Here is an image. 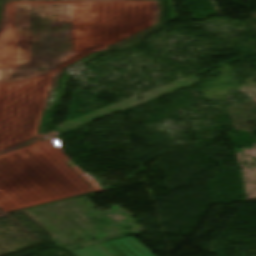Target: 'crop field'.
Here are the masks:
<instances>
[{"label": "crop field", "instance_id": "obj_1", "mask_svg": "<svg viewBox=\"0 0 256 256\" xmlns=\"http://www.w3.org/2000/svg\"><path fill=\"white\" fill-rule=\"evenodd\" d=\"M114 256H153L133 237L101 244Z\"/></svg>", "mask_w": 256, "mask_h": 256}, {"label": "crop field", "instance_id": "obj_2", "mask_svg": "<svg viewBox=\"0 0 256 256\" xmlns=\"http://www.w3.org/2000/svg\"><path fill=\"white\" fill-rule=\"evenodd\" d=\"M71 253L74 254L75 256H112L100 244L71 251Z\"/></svg>", "mask_w": 256, "mask_h": 256}]
</instances>
